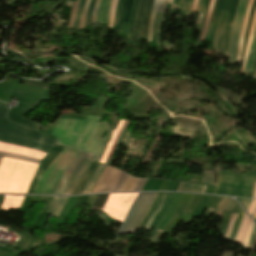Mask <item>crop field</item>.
<instances>
[{
    "label": "crop field",
    "instance_id": "4a817a6b",
    "mask_svg": "<svg viewBox=\"0 0 256 256\" xmlns=\"http://www.w3.org/2000/svg\"><path fill=\"white\" fill-rule=\"evenodd\" d=\"M97 166H98V163L93 161V163L87 169V171L85 172V174L83 175L81 180L78 182V184H77V186H76L72 195L80 194V192L83 189L85 183L87 182V180L89 179V177L91 176V174L93 173V171L96 169Z\"/></svg>",
    "mask_w": 256,
    "mask_h": 256
},
{
    "label": "crop field",
    "instance_id": "4177f3b9",
    "mask_svg": "<svg viewBox=\"0 0 256 256\" xmlns=\"http://www.w3.org/2000/svg\"><path fill=\"white\" fill-rule=\"evenodd\" d=\"M243 215H244V213L241 210V212H240V214H239V216H238V218H237V220H236V222L234 224V227H233V231H232V235H231V239H230L233 242L235 241L236 234H237L238 228L240 226V223L242 221Z\"/></svg>",
    "mask_w": 256,
    "mask_h": 256
},
{
    "label": "crop field",
    "instance_id": "00972430",
    "mask_svg": "<svg viewBox=\"0 0 256 256\" xmlns=\"http://www.w3.org/2000/svg\"><path fill=\"white\" fill-rule=\"evenodd\" d=\"M255 22H256V11H255V14H254V17H253L252 26H251V31H250L249 40H248V45H247L245 57H244V60H243L242 73H243V71H244V67H245L247 55H248V52H249V48H250V44H251V40H252V35H253L254 27H255Z\"/></svg>",
    "mask_w": 256,
    "mask_h": 256
},
{
    "label": "crop field",
    "instance_id": "214f88e0",
    "mask_svg": "<svg viewBox=\"0 0 256 256\" xmlns=\"http://www.w3.org/2000/svg\"><path fill=\"white\" fill-rule=\"evenodd\" d=\"M255 7H256V0H254L253 7H252V10H251V13H250V16H249V20H248V24H247V28H246V32H245V36H244L240 61H242L243 56H244V52H245V49H246L247 39H248L249 30H250L251 21H252V17H253Z\"/></svg>",
    "mask_w": 256,
    "mask_h": 256
},
{
    "label": "crop field",
    "instance_id": "bc2a9ffb",
    "mask_svg": "<svg viewBox=\"0 0 256 256\" xmlns=\"http://www.w3.org/2000/svg\"><path fill=\"white\" fill-rule=\"evenodd\" d=\"M235 201L231 198H225V197H222L219 205L217 206V209H216V215H222V212L223 210H228V211H231V209L233 208V206L235 205Z\"/></svg>",
    "mask_w": 256,
    "mask_h": 256
},
{
    "label": "crop field",
    "instance_id": "5866460e",
    "mask_svg": "<svg viewBox=\"0 0 256 256\" xmlns=\"http://www.w3.org/2000/svg\"><path fill=\"white\" fill-rule=\"evenodd\" d=\"M205 4H206V0H198L196 12L204 11Z\"/></svg>",
    "mask_w": 256,
    "mask_h": 256
},
{
    "label": "crop field",
    "instance_id": "34b2d1b8",
    "mask_svg": "<svg viewBox=\"0 0 256 256\" xmlns=\"http://www.w3.org/2000/svg\"><path fill=\"white\" fill-rule=\"evenodd\" d=\"M256 174L238 175L218 172L217 188L214 194L250 198Z\"/></svg>",
    "mask_w": 256,
    "mask_h": 256
},
{
    "label": "crop field",
    "instance_id": "d32e631a",
    "mask_svg": "<svg viewBox=\"0 0 256 256\" xmlns=\"http://www.w3.org/2000/svg\"><path fill=\"white\" fill-rule=\"evenodd\" d=\"M121 3H122V0H119V1H118V6H117V9H116V13H115L113 28H115L116 25H117L119 13H120V8H121Z\"/></svg>",
    "mask_w": 256,
    "mask_h": 256
},
{
    "label": "crop field",
    "instance_id": "a9b5d70f",
    "mask_svg": "<svg viewBox=\"0 0 256 256\" xmlns=\"http://www.w3.org/2000/svg\"><path fill=\"white\" fill-rule=\"evenodd\" d=\"M138 2H139V0H135L134 1V6H133L132 14H131L129 26H128V29H127V37H128V39H130V37H131V30H132V26H133L135 14H136Z\"/></svg>",
    "mask_w": 256,
    "mask_h": 256
},
{
    "label": "crop field",
    "instance_id": "750c4746",
    "mask_svg": "<svg viewBox=\"0 0 256 256\" xmlns=\"http://www.w3.org/2000/svg\"><path fill=\"white\" fill-rule=\"evenodd\" d=\"M105 3H106V0H101L99 12H98L97 23H102V20H103V13H104V8H105Z\"/></svg>",
    "mask_w": 256,
    "mask_h": 256
},
{
    "label": "crop field",
    "instance_id": "1d83c4d3",
    "mask_svg": "<svg viewBox=\"0 0 256 256\" xmlns=\"http://www.w3.org/2000/svg\"><path fill=\"white\" fill-rule=\"evenodd\" d=\"M133 1H134V0H128V4H127V8H126V13H125V20H124V23H128V21H129V17H130V13H131Z\"/></svg>",
    "mask_w": 256,
    "mask_h": 256
},
{
    "label": "crop field",
    "instance_id": "ae1a2a85",
    "mask_svg": "<svg viewBox=\"0 0 256 256\" xmlns=\"http://www.w3.org/2000/svg\"><path fill=\"white\" fill-rule=\"evenodd\" d=\"M78 3H79V0L74 2V6H73V9H72V13H71V16H70L68 27L73 26V22H74V18H75V15H76Z\"/></svg>",
    "mask_w": 256,
    "mask_h": 256
},
{
    "label": "crop field",
    "instance_id": "d8731c3e",
    "mask_svg": "<svg viewBox=\"0 0 256 256\" xmlns=\"http://www.w3.org/2000/svg\"><path fill=\"white\" fill-rule=\"evenodd\" d=\"M153 0H140L135 22L134 30H139V38L147 37L148 23L151 13Z\"/></svg>",
    "mask_w": 256,
    "mask_h": 256
},
{
    "label": "crop field",
    "instance_id": "028f5c9d",
    "mask_svg": "<svg viewBox=\"0 0 256 256\" xmlns=\"http://www.w3.org/2000/svg\"><path fill=\"white\" fill-rule=\"evenodd\" d=\"M237 200L241 203V205L245 208V210H247L251 200L250 199H237Z\"/></svg>",
    "mask_w": 256,
    "mask_h": 256
},
{
    "label": "crop field",
    "instance_id": "733c2abd",
    "mask_svg": "<svg viewBox=\"0 0 256 256\" xmlns=\"http://www.w3.org/2000/svg\"><path fill=\"white\" fill-rule=\"evenodd\" d=\"M206 186L201 184L180 182L178 190L181 192H195V193H203Z\"/></svg>",
    "mask_w": 256,
    "mask_h": 256
},
{
    "label": "crop field",
    "instance_id": "412701ff",
    "mask_svg": "<svg viewBox=\"0 0 256 256\" xmlns=\"http://www.w3.org/2000/svg\"><path fill=\"white\" fill-rule=\"evenodd\" d=\"M239 0H224L212 48L228 53L232 27Z\"/></svg>",
    "mask_w": 256,
    "mask_h": 256
},
{
    "label": "crop field",
    "instance_id": "25e5ab78",
    "mask_svg": "<svg viewBox=\"0 0 256 256\" xmlns=\"http://www.w3.org/2000/svg\"><path fill=\"white\" fill-rule=\"evenodd\" d=\"M255 217H256V212H255V214H254L253 218L255 219Z\"/></svg>",
    "mask_w": 256,
    "mask_h": 256
},
{
    "label": "crop field",
    "instance_id": "eef30255",
    "mask_svg": "<svg viewBox=\"0 0 256 256\" xmlns=\"http://www.w3.org/2000/svg\"><path fill=\"white\" fill-rule=\"evenodd\" d=\"M89 4H90V0H86L83 11H82V14H81L79 30L84 28L85 17H86V13H87V9H88Z\"/></svg>",
    "mask_w": 256,
    "mask_h": 256
},
{
    "label": "crop field",
    "instance_id": "03da06ac",
    "mask_svg": "<svg viewBox=\"0 0 256 256\" xmlns=\"http://www.w3.org/2000/svg\"><path fill=\"white\" fill-rule=\"evenodd\" d=\"M254 232H255V226H254V229H253V232H252V236H251V239H250V243H249V247H251V243H252V239H253V235H254Z\"/></svg>",
    "mask_w": 256,
    "mask_h": 256
},
{
    "label": "crop field",
    "instance_id": "3316defc",
    "mask_svg": "<svg viewBox=\"0 0 256 256\" xmlns=\"http://www.w3.org/2000/svg\"><path fill=\"white\" fill-rule=\"evenodd\" d=\"M62 149V147L57 146H54L51 149V151L47 154V156L38 166L26 193L33 194L40 177L43 175L49 164L54 160V158L60 153Z\"/></svg>",
    "mask_w": 256,
    "mask_h": 256
},
{
    "label": "crop field",
    "instance_id": "d3111659",
    "mask_svg": "<svg viewBox=\"0 0 256 256\" xmlns=\"http://www.w3.org/2000/svg\"><path fill=\"white\" fill-rule=\"evenodd\" d=\"M84 1L85 0H80V3H79L77 15H76V19H75V23H74V27H73L76 30L78 28L79 18H80V14H81V11H82V8H83Z\"/></svg>",
    "mask_w": 256,
    "mask_h": 256
},
{
    "label": "crop field",
    "instance_id": "28ad6ade",
    "mask_svg": "<svg viewBox=\"0 0 256 256\" xmlns=\"http://www.w3.org/2000/svg\"><path fill=\"white\" fill-rule=\"evenodd\" d=\"M91 162H92V159L88 156L84 159V161L77 167V169L73 172L72 176L69 178L62 195L70 194L74 184L79 179V177L83 174V172L87 169V167L90 165Z\"/></svg>",
    "mask_w": 256,
    "mask_h": 256
},
{
    "label": "crop field",
    "instance_id": "c21b1889",
    "mask_svg": "<svg viewBox=\"0 0 256 256\" xmlns=\"http://www.w3.org/2000/svg\"><path fill=\"white\" fill-rule=\"evenodd\" d=\"M180 0H173L172 5L179 9Z\"/></svg>",
    "mask_w": 256,
    "mask_h": 256
},
{
    "label": "crop field",
    "instance_id": "730fd06b",
    "mask_svg": "<svg viewBox=\"0 0 256 256\" xmlns=\"http://www.w3.org/2000/svg\"><path fill=\"white\" fill-rule=\"evenodd\" d=\"M126 3H127V0H123L122 9H121L120 17H119V22H118V25H117V29H118L120 32H121V30H122V25H123V20H124V13H125Z\"/></svg>",
    "mask_w": 256,
    "mask_h": 256
},
{
    "label": "crop field",
    "instance_id": "73cf0c24",
    "mask_svg": "<svg viewBox=\"0 0 256 256\" xmlns=\"http://www.w3.org/2000/svg\"><path fill=\"white\" fill-rule=\"evenodd\" d=\"M2 158H0V162H1Z\"/></svg>",
    "mask_w": 256,
    "mask_h": 256
},
{
    "label": "crop field",
    "instance_id": "f4fd0767",
    "mask_svg": "<svg viewBox=\"0 0 256 256\" xmlns=\"http://www.w3.org/2000/svg\"><path fill=\"white\" fill-rule=\"evenodd\" d=\"M10 95L17 98L19 100V103L17 108L11 109L8 115V119L15 123L37 130L39 124L30 120L22 119L20 117L26 114L32 108H34L38 104L37 101L43 100L44 97L13 90H11Z\"/></svg>",
    "mask_w": 256,
    "mask_h": 256
},
{
    "label": "crop field",
    "instance_id": "d1516ede",
    "mask_svg": "<svg viewBox=\"0 0 256 256\" xmlns=\"http://www.w3.org/2000/svg\"><path fill=\"white\" fill-rule=\"evenodd\" d=\"M171 2H172V0H155L154 1V6H153V10H152L151 18H150V23H149L147 43L151 42L154 19H155L156 13H164L165 10H166L167 4H171Z\"/></svg>",
    "mask_w": 256,
    "mask_h": 256
},
{
    "label": "crop field",
    "instance_id": "ac0d7876",
    "mask_svg": "<svg viewBox=\"0 0 256 256\" xmlns=\"http://www.w3.org/2000/svg\"><path fill=\"white\" fill-rule=\"evenodd\" d=\"M146 179H135L122 171L106 166L92 193L140 191Z\"/></svg>",
    "mask_w": 256,
    "mask_h": 256
},
{
    "label": "crop field",
    "instance_id": "92a150f3",
    "mask_svg": "<svg viewBox=\"0 0 256 256\" xmlns=\"http://www.w3.org/2000/svg\"><path fill=\"white\" fill-rule=\"evenodd\" d=\"M252 3H253V0H249V4H248L246 16H245V20H244V25H243V29H242V34H241V38H240V43H239V48H238V53H237L236 62H238V61H239V58H240V52H241V46H242L244 31H245V27H246L247 19H248L250 10H251Z\"/></svg>",
    "mask_w": 256,
    "mask_h": 256
},
{
    "label": "crop field",
    "instance_id": "5a996713",
    "mask_svg": "<svg viewBox=\"0 0 256 256\" xmlns=\"http://www.w3.org/2000/svg\"><path fill=\"white\" fill-rule=\"evenodd\" d=\"M247 4H248V0H241L232 39H231L230 54H229V59L227 64H235L237 47H238V42L241 34V29L243 25Z\"/></svg>",
    "mask_w": 256,
    "mask_h": 256
},
{
    "label": "crop field",
    "instance_id": "d9b57169",
    "mask_svg": "<svg viewBox=\"0 0 256 256\" xmlns=\"http://www.w3.org/2000/svg\"><path fill=\"white\" fill-rule=\"evenodd\" d=\"M58 198H60L59 201H58ZM67 199L68 198H64V197H53L52 201L50 200L51 202H50L49 206L47 207L46 211L52 212L56 203H57V201H58V203H57V205H56V207H55V209L52 213L53 216L58 217L62 208H63V206H64V204L66 203Z\"/></svg>",
    "mask_w": 256,
    "mask_h": 256
},
{
    "label": "crop field",
    "instance_id": "d23c7cc5",
    "mask_svg": "<svg viewBox=\"0 0 256 256\" xmlns=\"http://www.w3.org/2000/svg\"><path fill=\"white\" fill-rule=\"evenodd\" d=\"M188 1H189V0H186V3H185V7H184V10H185V11L187 10V7H188Z\"/></svg>",
    "mask_w": 256,
    "mask_h": 256
},
{
    "label": "crop field",
    "instance_id": "cbeb9de0",
    "mask_svg": "<svg viewBox=\"0 0 256 256\" xmlns=\"http://www.w3.org/2000/svg\"><path fill=\"white\" fill-rule=\"evenodd\" d=\"M255 57H256V27H255L253 40H252V44H251V49H250V53H249V57H248V61H247V65H246L244 74H248V73L252 74Z\"/></svg>",
    "mask_w": 256,
    "mask_h": 256
},
{
    "label": "crop field",
    "instance_id": "22f410ed",
    "mask_svg": "<svg viewBox=\"0 0 256 256\" xmlns=\"http://www.w3.org/2000/svg\"><path fill=\"white\" fill-rule=\"evenodd\" d=\"M86 157L84 154H80L70 165L69 167L65 170V172L62 175V178L58 184L57 190L55 194H61L69 175L76 169V167L83 161V159ZM71 176V175H70Z\"/></svg>",
    "mask_w": 256,
    "mask_h": 256
},
{
    "label": "crop field",
    "instance_id": "c035e120",
    "mask_svg": "<svg viewBox=\"0 0 256 256\" xmlns=\"http://www.w3.org/2000/svg\"><path fill=\"white\" fill-rule=\"evenodd\" d=\"M222 2H223V0H220L219 7H218V11H217V15H216V19H217V20H218L219 14H220Z\"/></svg>",
    "mask_w": 256,
    "mask_h": 256
},
{
    "label": "crop field",
    "instance_id": "0bd39190",
    "mask_svg": "<svg viewBox=\"0 0 256 256\" xmlns=\"http://www.w3.org/2000/svg\"><path fill=\"white\" fill-rule=\"evenodd\" d=\"M218 2H219V0H216L215 5H214V9H213V13H212V17H211V21H210V22H213L214 19H215L217 7H218Z\"/></svg>",
    "mask_w": 256,
    "mask_h": 256
},
{
    "label": "crop field",
    "instance_id": "120bbe31",
    "mask_svg": "<svg viewBox=\"0 0 256 256\" xmlns=\"http://www.w3.org/2000/svg\"><path fill=\"white\" fill-rule=\"evenodd\" d=\"M110 6H111V0H107V5L104 13V22L103 23H108L109 20V13H110Z\"/></svg>",
    "mask_w": 256,
    "mask_h": 256
},
{
    "label": "crop field",
    "instance_id": "e52e79f7",
    "mask_svg": "<svg viewBox=\"0 0 256 256\" xmlns=\"http://www.w3.org/2000/svg\"><path fill=\"white\" fill-rule=\"evenodd\" d=\"M174 193H157L155 199L143 217L140 227L151 229L156 227L157 223L163 217L167 207L169 206ZM155 229V228H154Z\"/></svg>",
    "mask_w": 256,
    "mask_h": 256
},
{
    "label": "crop field",
    "instance_id": "5d738f31",
    "mask_svg": "<svg viewBox=\"0 0 256 256\" xmlns=\"http://www.w3.org/2000/svg\"><path fill=\"white\" fill-rule=\"evenodd\" d=\"M192 3H193V0H190V2H189V8H188V10H190V11H191V7H192Z\"/></svg>",
    "mask_w": 256,
    "mask_h": 256
},
{
    "label": "crop field",
    "instance_id": "b54c1fbb",
    "mask_svg": "<svg viewBox=\"0 0 256 256\" xmlns=\"http://www.w3.org/2000/svg\"><path fill=\"white\" fill-rule=\"evenodd\" d=\"M253 78L256 79V63H255V68H254V72H253Z\"/></svg>",
    "mask_w": 256,
    "mask_h": 256
},
{
    "label": "crop field",
    "instance_id": "8a807250",
    "mask_svg": "<svg viewBox=\"0 0 256 256\" xmlns=\"http://www.w3.org/2000/svg\"><path fill=\"white\" fill-rule=\"evenodd\" d=\"M8 109L0 105V142L14 144L48 153L58 139L34 132L7 121ZM100 118L88 115L82 119H59L52 135L59 138L57 145L83 152L98 162L111 133L107 123H98ZM64 148L40 179L35 193L52 194L60 175L79 154Z\"/></svg>",
    "mask_w": 256,
    "mask_h": 256
},
{
    "label": "crop field",
    "instance_id": "dafd665d",
    "mask_svg": "<svg viewBox=\"0 0 256 256\" xmlns=\"http://www.w3.org/2000/svg\"><path fill=\"white\" fill-rule=\"evenodd\" d=\"M108 195L109 194L97 195V197L94 201V204L92 206V209L101 211L106 202Z\"/></svg>",
    "mask_w": 256,
    "mask_h": 256
},
{
    "label": "crop field",
    "instance_id": "e1f06a70",
    "mask_svg": "<svg viewBox=\"0 0 256 256\" xmlns=\"http://www.w3.org/2000/svg\"><path fill=\"white\" fill-rule=\"evenodd\" d=\"M99 3H100V0H97L96 6H95V9H94V12H93L92 24L96 23L97 10H98Z\"/></svg>",
    "mask_w": 256,
    "mask_h": 256
},
{
    "label": "crop field",
    "instance_id": "b80d0937",
    "mask_svg": "<svg viewBox=\"0 0 256 256\" xmlns=\"http://www.w3.org/2000/svg\"><path fill=\"white\" fill-rule=\"evenodd\" d=\"M209 1H210V0L207 1L206 9H205V12H204L203 21H202V27H203V23H204V20H205L206 13H207ZM202 27H201V29H200V34H201ZM200 34H199V37H200ZM198 41H199V38H198Z\"/></svg>",
    "mask_w": 256,
    "mask_h": 256
},
{
    "label": "crop field",
    "instance_id": "dd49c442",
    "mask_svg": "<svg viewBox=\"0 0 256 256\" xmlns=\"http://www.w3.org/2000/svg\"><path fill=\"white\" fill-rule=\"evenodd\" d=\"M156 193L139 194L130 207L118 233L133 232L141 221L144 213L153 201Z\"/></svg>",
    "mask_w": 256,
    "mask_h": 256
},
{
    "label": "crop field",
    "instance_id": "425ffa30",
    "mask_svg": "<svg viewBox=\"0 0 256 256\" xmlns=\"http://www.w3.org/2000/svg\"><path fill=\"white\" fill-rule=\"evenodd\" d=\"M185 0H181V4H184Z\"/></svg>",
    "mask_w": 256,
    "mask_h": 256
},
{
    "label": "crop field",
    "instance_id": "5142ce71",
    "mask_svg": "<svg viewBox=\"0 0 256 256\" xmlns=\"http://www.w3.org/2000/svg\"><path fill=\"white\" fill-rule=\"evenodd\" d=\"M105 168V165L99 164L89 181L86 183L84 189L82 190L81 194L90 193L93 189L95 183L97 182L98 178L102 174L103 170Z\"/></svg>",
    "mask_w": 256,
    "mask_h": 256
},
{
    "label": "crop field",
    "instance_id": "bd1437ed",
    "mask_svg": "<svg viewBox=\"0 0 256 256\" xmlns=\"http://www.w3.org/2000/svg\"><path fill=\"white\" fill-rule=\"evenodd\" d=\"M95 1H96V0H92V1H91L90 7H89V10H88V13H87V17H86V26H88V25L91 24L92 9H93V7H94ZM86 26H85V27H86Z\"/></svg>",
    "mask_w": 256,
    "mask_h": 256
}]
</instances>
